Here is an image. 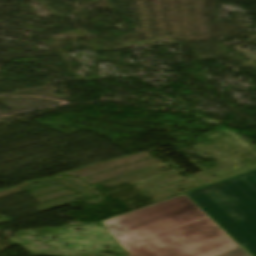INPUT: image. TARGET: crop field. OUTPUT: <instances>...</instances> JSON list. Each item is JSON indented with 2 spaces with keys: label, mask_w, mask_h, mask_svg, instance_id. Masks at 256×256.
<instances>
[{
  "label": "crop field",
  "mask_w": 256,
  "mask_h": 256,
  "mask_svg": "<svg viewBox=\"0 0 256 256\" xmlns=\"http://www.w3.org/2000/svg\"><path fill=\"white\" fill-rule=\"evenodd\" d=\"M100 224L129 256H249L186 195Z\"/></svg>",
  "instance_id": "crop-field-1"
},
{
  "label": "crop field",
  "mask_w": 256,
  "mask_h": 256,
  "mask_svg": "<svg viewBox=\"0 0 256 256\" xmlns=\"http://www.w3.org/2000/svg\"><path fill=\"white\" fill-rule=\"evenodd\" d=\"M187 194L256 256V169Z\"/></svg>",
  "instance_id": "crop-field-2"
}]
</instances>
